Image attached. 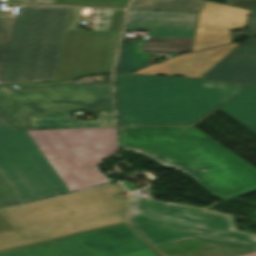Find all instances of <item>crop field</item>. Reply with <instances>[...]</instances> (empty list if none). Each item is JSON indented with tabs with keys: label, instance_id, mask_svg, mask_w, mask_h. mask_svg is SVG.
Instances as JSON below:
<instances>
[{
	"label": "crop field",
	"instance_id": "obj_28",
	"mask_svg": "<svg viewBox=\"0 0 256 256\" xmlns=\"http://www.w3.org/2000/svg\"><path fill=\"white\" fill-rule=\"evenodd\" d=\"M1 1V0H0Z\"/></svg>",
	"mask_w": 256,
	"mask_h": 256
},
{
	"label": "crop field",
	"instance_id": "obj_11",
	"mask_svg": "<svg viewBox=\"0 0 256 256\" xmlns=\"http://www.w3.org/2000/svg\"><path fill=\"white\" fill-rule=\"evenodd\" d=\"M248 40L211 70L204 79L253 84L256 82V12L249 16Z\"/></svg>",
	"mask_w": 256,
	"mask_h": 256
},
{
	"label": "crop field",
	"instance_id": "obj_15",
	"mask_svg": "<svg viewBox=\"0 0 256 256\" xmlns=\"http://www.w3.org/2000/svg\"><path fill=\"white\" fill-rule=\"evenodd\" d=\"M219 109L256 133V84Z\"/></svg>",
	"mask_w": 256,
	"mask_h": 256
},
{
	"label": "crop field",
	"instance_id": "obj_9",
	"mask_svg": "<svg viewBox=\"0 0 256 256\" xmlns=\"http://www.w3.org/2000/svg\"><path fill=\"white\" fill-rule=\"evenodd\" d=\"M124 13L115 10L110 32L68 30L56 81L111 73Z\"/></svg>",
	"mask_w": 256,
	"mask_h": 256
},
{
	"label": "crop field",
	"instance_id": "obj_5",
	"mask_svg": "<svg viewBox=\"0 0 256 256\" xmlns=\"http://www.w3.org/2000/svg\"><path fill=\"white\" fill-rule=\"evenodd\" d=\"M71 10L20 5L0 16V84L55 81Z\"/></svg>",
	"mask_w": 256,
	"mask_h": 256
},
{
	"label": "crop field",
	"instance_id": "obj_1",
	"mask_svg": "<svg viewBox=\"0 0 256 256\" xmlns=\"http://www.w3.org/2000/svg\"><path fill=\"white\" fill-rule=\"evenodd\" d=\"M10 125V124H9ZM0 118V172L23 203L108 184L114 127L15 130Z\"/></svg>",
	"mask_w": 256,
	"mask_h": 256
},
{
	"label": "crop field",
	"instance_id": "obj_4",
	"mask_svg": "<svg viewBox=\"0 0 256 256\" xmlns=\"http://www.w3.org/2000/svg\"><path fill=\"white\" fill-rule=\"evenodd\" d=\"M125 192L117 183L0 210L14 228L0 232V250L127 222L128 197L116 196Z\"/></svg>",
	"mask_w": 256,
	"mask_h": 256
},
{
	"label": "crop field",
	"instance_id": "obj_18",
	"mask_svg": "<svg viewBox=\"0 0 256 256\" xmlns=\"http://www.w3.org/2000/svg\"><path fill=\"white\" fill-rule=\"evenodd\" d=\"M232 42L229 30L197 27L192 51Z\"/></svg>",
	"mask_w": 256,
	"mask_h": 256
},
{
	"label": "crop field",
	"instance_id": "obj_20",
	"mask_svg": "<svg viewBox=\"0 0 256 256\" xmlns=\"http://www.w3.org/2000/svg\"><path fill=\"white\" fill-rule=\"evenodd\" d=\"M21 200L0 173V208L21 204Z\"/></svg>",
	"mask_w": 256,
	"mask_h": 256
},
{
	"label": "crop field",
	"instance_id": "obj_17",
	"mask_svg": "<svg viewBox=\"0 0 256 256\" xmlns=\"http://www.w3.org/2000/svg\"><path fill=\"white\" fill-rule=\"evenodd\" d=\"M202 4L199 0H132L129 8L199 12Z\"/></svg>",
	"mask_w": 256,
	"mask_h": 256
},
{
	"label": "crop field",
	"instance_id": "obj_6",
	"mask_svg": "<svg viewBox=\"0 0 256 256\" xmlns=\"http://www.w3.org/2000/svg\"><path fill=\"white\" fill-rule=\"evenodd\" d=\"M129 221L153 246L189 238L256 250V235L236 231L230 216L196 208L131 195Z\"/></svg>",
	"mask_w": 256,
	"mask_h": 256
},
{
	"label": "crop field",
	"instance_id": "obj_27",
	"mask_svg": "<svg viewBox=\"0 0 256 256\" xmlns=\"http://www.w3.org/2000/svg\"><path fill=\"white\" fill-rule=\"evenodd\" d=\"M241 256H256V252L245 254V255H241Z\"/></svg>",
	"mask_w": 256,
	"mask_h": 256
},
{
	"label": "crop field",
	"instance_id": "obj_19",
	"mask_svg": "<svg viewBox=\"0 0 256 256\" xmlns=\"http://www.w3.org/2000/svg\"><path fill=\"white\" fill-rule=\"evenodd\" d=\"M58 5L126 8L129 0H55Z\"/></svg>",
	"mask_w": 256,
	"mask_h": 256
},
{
	"label": "crop field",
	"instance_id": "obj_21",
	"mask_svg": "<svg viewBox=\"0 0 256 256\" xmlns=\"http://www.w3.org/2000/svg\"><path fill=\"white\" fill-rule=\"evenodd\" d=\"M231 5L256 9V0H227Z\"/></svg>",
	"mask_w": 256,
	"mask_h": 256
},
{
	"label": "crop field",
	"instance_id": "obj_24",
	"mask_svg": "<svg viewBox=\"0 0 256 256\" xmlns=\"http://www.w3.org/2000/svg\"><path fill=\"white\" fill-rule=\"evenodd\" d=\"M12 227L8 222L0 215V231L11 229Z\"/></svg>",
	"mask_w": 256,
	"mask_h": 256
},
{
	"label": "crop field",
	"instance_id": "obj_25",
	"mask_svg": "<svg viewBox=\"0 0 256 256\" xmlns=\"http://www.w3.org/2000/svg\"><path fill=\"white\" fill-rule=\"evenodd\" d=\"M102 111H107V113H113V108L102 109V110H91V111H86V112L87 113H102Z\"/></svg>",
	"mask_w": 256,
	"mask_h": 256
},
{
	"label": "crop field",
	"instance_id": "obj_8",
	"mask_svg": "<svg viewBox=\"0 0 256 256\" xmlns=\"http://www.w3.org/2000/svg\"><path fill=\"white\" fill-rule=\"evenodd\" d=\"M149 248L122 224L1 252L0 256H120Z\"/></svg>",
	"mask_w": 256,
	"mask_h": 256
},
{
	"label": "crop field",
	"instance_id": "obj_3",
	"mask_svg": "<svg viewBox=\"0 0 256 256\" xmlns=\"http://www.w3.org/2000/svg\"><path fill=\"white\" fill-rule=\"evenodd\" d=\"M246 87L188 78L115 76L118 126L191 125Z\"/></svg>",
	"mask_w": 256,
	"mask_h": 256
},
{
	"label": "crop field",
	"instance_id": "obj_16",
	"mask_svg": "<svg viewBox=\"0 0 256 256\" xmlns=\"http://www.w3.org/2000/svg\"><path fill=\"white\" fill-rule=\"evenodd\" d=\"M141 42L122 43L116 73L137 71L149 65V54L139 52Z\"/></svg>",
	"mask_w": 256,
	"mask_h": 256
},
{
	"label": "crop field",
	"instance_id": "obj_22",
	"mask_svg": "<svg viewBox=\"0 0 256 256\" xmlns=\"http://www.w3.org/2000/svg\"><path fill=\"white\" fill-rule=\"evenodd\" d=\"M8 2L19 3H43V4H56L54 0H7Z\"/></svg>",
	"mask_w": 256,
	"mask_h": 256
},
{
	"label": "crop field",
	"instance_id": "obj_14",
	"mask_svg": "<svg viewBox=\"0 0 256 256\" xmlns=\"http://www.w3.org/2000/svg\"><path fill=\"white\" fill-rule=\"evenodd\" d=\"M71 112L31 115L33 129L115 126L114 115H99L96 121L70 120Z\"/></svg>",
	"mask_w": 256,
	"mask_h": 256
},
{
	"label": "crop field",
	"instance_id": "obj_26",
	"mask_svg": "<svg viewBox=\"0 0 256 256\" xmlns=\"http://www.w3.org/2000/svg\"><path fill=\"white\" fill-rule=\"evenodd\" d=\"M124 186H125V188L127 189V190H132V189H134L130 184H128L127 182H124V183H122Z\"/></svg>",
	"mask_w": 256,
	"mask_h": 256
},
{
	"label": "crop field",
	"instance_id": "obj_10",
	"mask_svg": "<svg viewBox=\"0 0 256 256\" xmlns=\"http://www.w3.org/2000/svg\"><path fill=\"white\" fill-rule=\"evenodd\" d=\"M197 13L131 10L125 31L149 29L150 37L143 43V52H188Z\"/></svg>",
	"mask_w": 256,
	"mask_h": 256
},
{
	"label": "crop field",
	"instance_id": "obj_12",
	"mask_svg": "<svg viewBox=\"0 0 256 256\" xmlns=\"http://www.w3.org/2000/svg\"><path fill=\"white\" fill-rule=\"evenodd\" d=\"M238 44H229L210 48L204 53H188L165 60L161 64H154L137 72L174 74L200 77L204 72L214 66Z\"/></svg>",
	"mask_w": 256,
	"mask_h": 256
},
{
	"label": "crop field",
	"instance_id": "obj_2",
	"mask_svg": "<svg viewBox=\"0 0 256 256\" xmlns=\"http://www.w3.org/2000/svg\"><path fill=\"white\" fill-rule=\"evenodd\" d=\"M119 143L188 174L219 199L256 189V169L194 127L119 128Z\"/></svg>",
	"mask_w": 256,
	"mask_h": 256
},
{
	"label": "crop field",
	"instance_id": "obj_7",
	"mask_svg": "<svg viewBox=\"0 0 256 256\" xmlns=\"http://www.w3.org/2000/svg\"><path fill=\"white\" fill-rule=\"evenodd\" d=\"M0 86V115L18 129H32L30 114L113 107L111 83Z\"/></svg>",
	"mask_w": 256,
	"mask_h": 256
},
{
	"label": "crop field",
	"instance_id": "obj_23",
	"mask_svg": "<svg viewBox=\"0 0 256 256\" xmlns=\"http://www.w3.org/2000/svg\"><path fill=\"white\" fill-rule=\"evenodd\" d=\"M125 256H158L152 249L125 255Z\"/></svg>",
	"mask_w": 256,
	"mask_h": 256
},
{
	"label": "crop field",
	"instance_id": "obj_13",
	"mask_svg": "<svg viewBox=\"0 0 256 256\" xmlns=\"http://www.w3.org/2000/svg\"><path fill=\"white\" fill-rule=\"evenodd\" d=\"M249 11L205 2L197 26L238 29Z\"/></svg>",
	"mask_w": 256,
	"mask_h": 256
}]
</instances>
